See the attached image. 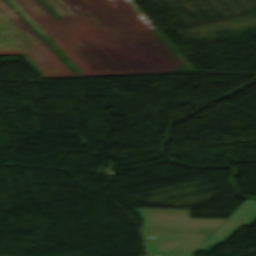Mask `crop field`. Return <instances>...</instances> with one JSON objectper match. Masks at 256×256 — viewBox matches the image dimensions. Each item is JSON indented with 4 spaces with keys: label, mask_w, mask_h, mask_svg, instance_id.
<instances>
[{
    "label": "crop field",
    "mask_w": 256,
    "mask_h": 256,
    "mask_svg": "<svg viewBox=\"0 0 256 256\" xmlns=\"http://www.w3.org/2000/svg\"><path fill=\"white\" fill-rule=\"evenodd\" d=\"M145 240L204 241L225 219H189V210L136 209Z\"/></svg>",
    "instance_id": "obj_1"
},
{
    "label": "crop field",
    "mask_w": 256,
    "mask_h": 256,
    "mask_svg": "<svg viewBox=\"0 0 256 256\" xmlns=\"http://www.w3.org/2000/svg\"><path fill=\"white\" fill-rule=\"evenodd\" d=\"M256 219V200L244 201L236 211L196 250L209 251L224 242L241 225H250ZM222 233L224 235L220 236ZM210 243L208 246H206Z\"/></svg>",
    "instance_id": "obj_2"
},
{
    "label": "crop field",
    "mask_w": 256,
    "mask_h": 256,
    "mask_svg": "<svg viewBox=\"0 0 256 256\" xmlns=\"http://www.w3.org/2000/svg\"><path fill=\"white\" fill-rule=\"evenodd\" d=\"M201 243L146 241L149 256H192Z\"/></svg>",
    "instance_id": "obj_3"
}]
</instances>
